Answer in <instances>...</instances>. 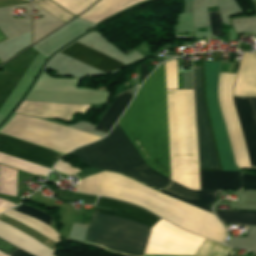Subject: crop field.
<instances>
[{
	"instance_id": "crop-field-2",
	"label": "crop field",
	"mask_w": 256,
	"mask_h": 256,
	"mask_svg": "<svg viewBox=\"0 0 256 256\" xmlns=\"http://www.w3.org/2000/svg\"><path fill=\"white\" fill-rule=\"evenodd\" d=\"M148 90L152 169L170 178L164 64L148 78ZM148 90L146 80L118 123L151 167Z\"/></svg>"
},
{
	"instance_id": "crop-field-26",
	"label": "crop field",
	"mask_w": 256,
	"mask_h": 256,
	"mask_svg": "<svg viewBox=\"0 0 256 256\" xmlns=\"http://www.w3.org/2000/svg\"><path fill=\"white\" fill-rule=\"evenodd\" d=\"M15 210L22 213V214H26L28 216L34 217V218L44 222L47 225H48L49 221L51 220V217H49V216H47V215H45V214H43V213H41V212H39L35 209L29 208L25 205H22V206L18 207Z\"/></svg>"
},
{
	"instance_id": "crop-field-27",
	"label": "crop field",
	"mask_w": 256,
	"mask_h": 256,
	"mask_svg": "<svg viewBox=\"0 0 256 256\" xmlns=\"http://www.w3.org/2000/svg\"><path fill=\"white\" fill-rule=\"evenodd\" d=\"M209 17H210L212 35L222 34L221 19H220L219 11L210 12Z\"/></svg>"
},
{
	"instance_id": "crop-field-20",
	"label": "crop field",
	"mask_w": 256,
	"mask_h": 256,
	"mask_svg": "<svg viewBox=\"0 0 256 256\" xmlns=\"http://www.w3.org/2000/svg\"><path fill=\"white\" fill-rule=\"evenodd\" d=\"M3 214L28 225L29 227L35 229L36 231L40 232L41 234L45 235L46 237L50 238L55 242L59 240L57 238L59 235L54 230H52L49 226L45 225L44 223L36 219L30 218L28 216L22 215L12 210L5 212Z\"/></svg>"
},
{
	"instance_id": "crop-field-29",
	"label": "crop field",
	"mask_w": 256,
	"mask_h": 256,
	"mask_svg": "<svg viewBox=\"0 0 256 256\" xmlns=\"http://www.w3.org/2000/svg\"><path fill=\"white\" fill-rule=\"evenodd\" d=\"M53 170L57 171L59 174L65 176V177H68V176L78 172L75 169H73L70 164L63 162V161H59L55 165Z\"/></svg>"
},
{
	"instance_id": "crop-field-30",
	"label": "crop field",
	"mask_w": 256,
	"mask_h": 256,
	"mask_svg": "<svg viewBox=\"0 0 256 256\" xmlns=\"http://www.w3.org/2000/svg\"><path fill=\"white\" fill-rule=\"evenodd\" d=\"M58 195L67 196V197H75V198L92 199V200L97 199V196L85 195V194H68V193L59 192Z\"/></svg>"
},
{
	"instance_id": "crop-field-9",
	"label": "crop field",
	"mask_w": 256,
	"mask_h": 256,
	"mask_svg": "<svg viewBox=\"0 0 256 256\" xmlns=\"http://www.w3.org/2000/svg\"><path fill=\"white\" fill-rule=\"evenodd\" d=\"M204 240L160 220L151 230L145 253L194 255Z\"/></svg>"
},
{
	"instance_id": "crop-field-3",
	"label": "crop field",
	"mask_w": 256,
	"mask_h": 256,
	"mask_svg": "<svg viewBox=\"0 0 256 256\" xmlns=\"http://www.w3.org/2000/svg\"><path fill=\"white\" fill-rule=\"evenodd\" d=\"M0 132L56 150L64 155L101 138L18 114ZM6 135L0 134V152L49 168L61 158L50 150Z\"/></svg>"
},
{
	"instance_id": "crop-field-21",
	"label": "crop field",
	"mask_w": 256,
	"mask_h": 256,
	"mask_svg": "<svg viewBox=\"0 0 256 256\" xmlns=\"http://www.w3.org/2000/svg\"><path fill=\"white\" fill-rule=\"evenodd\" d=\"M0 163L34 174V175H42V176H46L47 172H48V168L33 164V163H29L11 156H7L4 154L0 153Z\"/></svg>"
},
{
	"instance_id": "crop-field-25",
	"label": "crop field",
	"mask_w": 256,
	"mask_h": 256,
	"mask_svg": "<svg viewBox=\"0 0 256 256\" xmlns=\"http://www.w3.org/2000/svg\"><path fill=\"white\" fill-rule=\"evenodd\" d=\"M166 89L178 88L176 59L165 62Z\"/></svg>"
},
{
	"instance_id": "crop-field-31",
	"label": "crop field",
	"mask_w": 256,
	"mask_h": 256,
	"mask_svg": "<svg viewBox=\"0 0 256 256\" xmlns=\"http://www.w3.org/2000/svg\"><path fill=\"white\" fill-rule=\"evenodd\" d=\"M142 81L148 76L147 65L143 63L140 65Z\"/></svg>"
},
{
	"instance_id": "crop-field-32",
	"label": "crop field",
	"mask_w": 256,
	"mask_h": 256,
	"mask_svg": "<svg viewBox=\"0 0 256 256\" xmlns=\"http://www.w3.org/2000/svg\"><path fill=\"white\" fill-rule=\"evenodd\" d=\"M9 256H32V255L17 248L11 254H9Z\"/></svg>"
},
{
	"instance_id": "crop-field-10",
	"label": "crop field",
	"mask_w": 256,
	"mask_h": 256,
	"mask_svg": "<svg viewBox=\"0 0 256 256\" xmlns=\"http://www.w3.org/2000/svg\"><path fill=\"white\" fill-rule=\"evenodd\" d=\"M194 66H202L203 90H204L203 65H194ZM194 78H195V105H196V115H197V134H198L200 168H218L219 166V169H200V170H221L218 155H217V150L215 146V141L213 137V132L211 128V123L209 119V114L207 110V105L205 101V90H204V101L206 105V110H207V115L209 119L210 129H211L216 157L218 161V166L216 162L215 152L213 148L212 138L210 134L209 124H208L206 110H205L204 101H203L201 67H194Z\"/></svg>"
},
{
	"instance_id": "crop-field-16",
	"label": "crop field",
	"mask_w": 256,
	"mask_h": 256,
	"mask_svg": "<svg viewBox=\"0 0 256 256\" xmlns=\"http://www.w3.org/2000/svg\"><path fill=\"white\" fill-rule=\"evenodd\" d=\"M234 95L256 96V54H243Z\"/></svg>"
},
{
	"instance_id": "crop-field-18",
	"label": "crop field",
	"mask_w": 256,
	"mask_h": 256,
	"mask_svg": "<svg viewBox=\"0 0 256 256\" xmlns=\"http://www.w3.org/2000/svg\"><path fill=\"white\" fill-rule=\"evenodd\" d=\"M144 0H100L79 18L97 23L137 2Z\"/></svg>"
},
{
	"instance_id": "crop-field-35",
	"label": "crop field",
	"mask_w": 256,
	"mask_h": 256,
	"mask_svg": "<svg viewBox=\"0 0 256 256\" xmlns=\"http://www.w3.org/2000/svg\"><path fill=\"white\" fill-rule=\"evenodd\" d=\"M235 250H236V249H233V251L230 253L229 256H234V255H232V254L234 253ZM235 252H236V251H235ZM253 256H256V254L254 253Z\"/></svg>"
},
{
	"instance_id": "crop-field-12",
	"label": "crop field",
	"mask_w": 256,
	"mask_h": 256,
	"mask_svg": "<svg viewBox=\"0 0 256 256\" xmlns=\"http://www.w3.org/2000/svg\"><path fill=\"white\" fill-rule=\"evenodd\" d=\"M96 206L108 208V209L120 210V211L116 212V211L95 207L93 211L94 213L130 219L149 227H151L154 223H156L160 219L159 217L135 205L114 201V200H110L102 197H99Z\"/></svg>"
},
{
	"instance_id": "crop-field-34",
	"label": "crop field",
	"mask_w": 256,
	"mask_h": 256,
	"mask_svg": "<svg viewBox=\"0 0 256 256\" xmlns=\"http://www.w3.org/2000/svg\"><path fill=\"white\" fill-rule=\"evenodd\" d=\"M3 40H6V38H5V36L0 32V42L3 41ZM0 64H2V63L0 62Z\"/></svg>"
},
{
	"instance_id": "crop-field-1",
	"label": "crop field",
	"mask_w": 256,
	"mask_h": 256,
	"mask_svg": "<svg viewBox=\"0 0 256 256\" xmlns=\"http://www.w3.org/2000/svg\"><path fill=\"white\" fill-rule=\"evenodd\" d=\"M79 192L128 201L149 209L175 225L220 243L226 230L214 215L158 193L122 175L105 172L85 177Z\"/></svg>"
},
{
	"instance_id": "crop-field-5",
	"label": "crop field",
	"mask_w": 256,
	"mask_h": 256,
	"mask_svg": "<svg viewBox=\"0 0 256 256\" xmlns=\"http://www.w3.org/2000/svg\"><path fill=\"white\" fill-rule=\"evenodd\" d=\"M72 154L85 165L123 174L158 191L171 181L144 163L118 124L105 139L79 148Z\"/></svg>"
},
{
	"instance_id": "crop-field-28",
	"label": "crop field",
	"mask_w": 256,
	"mask_h": 256,
	"mask_svg": "<svg viewBox=\"0 0 256 256\" xmlns=\"http://www.w3.org/2000/svg\"><path fill=\"white\" fill-rule=\"evenodd\" d=\"M241 190H256V176L240 174Z\"/></svg>"
},
{
	"instance_id": "crop-field-36",
	"label": "crop field",
	"mask_w": 256,
	"mask_h": 256,
	"mask_svg": "<svg viewBox=\"0 0 256 256\" xmlns=\"http://www.w3.org/2000/svg\"><path fill=\"white\" fill-rule=\"evenodd\" d=\"M0 256H6V255H4V254L0 253Z\"/></svg>"
},
{
	"instance_id": "crop-field-17",
	"label": "crop field",
	"mask_w": 256,
	"mask_h": 256,
	"mask_svg": "<svg viewBox=\"0 0 256 256\" xmlns=\"http://www.w3.org/2000/svg\"><path fill=\"white\" fill-rule=\"evenodd\" d=\"M201 190H240L239 172L200 171Z\"/></svg>"
},
{
	"instance_id": "crop-field-7",
	"label": "crop field",
	"mask_w": 256,
	"mask_h": 256,
	"mask_svg": "<svg viewBox=\"0 0 256 256\" xmlns=\"http://www.w3.org/2000/svg\"><path fill=\"white\" fill-rule=\"evenodd\" d=\"M149 230L130 220L93 214L87 242L127 255L143 256Z\"/></svg>"
},
{
	"instance_id": "crop-field-22",
	"label": "crop field",
	"mask_w": 256,
	"mask_h": 256,
	"mask_svg": "<svg viewBox=\"0 0 256 256\" xmlns=\"http://www.w3.org/2000/svg\"><path fill=\"white\" fill-rule=\"evenodd\" d=\"M220 221L226 224H246L256 226V213L237 211H214Z\"/></svg>"
},
{
	"instance_id": "crop-field-13",
	"label": "crop field",
	"mask_w": 256,
	"mask_h": 256,
	"mask_svg": "<svg viewBox=\"0 0 256 256\" xmlns=\"http://www.w3.org/2000/svg\"><path fill=\"white\" fill-rule=\"evenodd\" d=\"M61 53L88 66H91L101 72H110L125 66L78 43H74L70 47L63 50Z\"/></svg>"
},
{
	"instance_id": "crop-field-4",
	"label": "crop field",
	"mask_w": 256,
	"mask_h": 256,
	"mask_svg": "<svg viewBox=\"0 0 256 256\" xmlns=\"http://www.w3.org/2000/svg\"><path fill=\"white\" fill-rule=\"evenodd\" d=\"M171 180L199 190L193 90H166Z\"/></svg>"
},
{
	"instance_id": "crop-field-14",
	"label": "crop field",
	"mask_w": 256,
	"mask_h": 256,
	"mask_svg": "<svg viewBox=\"0 0 256 256\" xmlns=\"http://www.w3.org/2000/svg\"><path fill=\"white\" fill-rule=\"evenodd\" d=\"M161 193L212 213L209 206L216 198V191H192L170 182ZM213 214V213H212Z\"/></svg>"
},
{
	"instance_id": "crop-field-23",
	"label": "crop field",
	"mask_w": 256,
	"mask_h": 256,
	"mask_svg": "<svg viewBox=\"0 0 256 256\" xmlns=\"http://www.w3.org/2000/svg\"><path fill=\"white\" fill-rule=\"evenodd\" d=\"M231 248L217 244L208 239L202 244L195 256H226Z\"/></svg>"
},
{
	"instance_id": "crop-field-24",
	"label": "crop field",
	"mask_w": 256,
	"mask_h": 256,
	"mask_svg": "<svg viewBox=\"0 0 256 256\" xmlns=\"http://www.w3.org/2000/svg\"><path fill=\"white\" fill-rule=\"evenodd\" d=\"M64 8L68 9L74 14H79L80 12L86 10L97 0H53Z\"/></svg>"
},
{
	"instance_id": "crop-field-19",
	"label": "crop field",
	"mask_w": 256,
	"mask_h": 256,
	"mask_svg": "<svg viewBox=\"0 0 256 256\" xmlns=\"http://www.w3.org/2000/svg\"><path fill=\"white\" fill-rule=\"evenodd\" d=\"M132 95L131 91H127L121 95H119L118 98L113 102V104L110 106V108L105 113L104 117L100 121V123L97 125L95 130L103 132L107 134V132L110 130L112 125L115 123L119 115L122 113L124 108L127 106L129 101L131 100Z\"/></svg>"
},
{
	"instance_id": "crop-field-11",
	"label": "crop field",
	"mask_w": 256,
	"mask_h": 256,
	"mask_svg": "<svg viewBox=\"0 0 256 256\" xmlns=\"http://www.w3.org/2000/svg\"><path fill=\"white\" fill-rule=\"evenodd\" d=\"M89 105L54 104L47 102L23 101L15 111L39 118H53L70 121L75 112L86 113Z\"/></svg>"
},
{
	"instance_id": "crop-field-15",
	"label": "crop field",
	"mask_w": 256,
	"mask_h": 256,
	"mask_svg": "<svg viewBox=\"0 0 256 256\" xmlns=\"http://www.w3.org/2000/svg\"><path fill=\"white\" fill-rule=\"evenodd\" d=\"M0 238L34 256H53L54 253V251L42 245L30 236L14 229L13 227L1 221Z\"/></svg>"
},
{
	"instance_id": "crop-field-6",
	"label": "crop field",
	"mask_w": 256,
	"mask_h": 256,
	"mask_svg": "<svg viewBox=\"0 0 256 256\" xmlns=\"http://www.w3.org/2000/svg\"><path fill=\"white\" fill-rule=\"evenodd\" d=\"M235 75L236 74L220 73L218 99L233 156L238 168H256V118L247 97H233L251 159V167L245 140L232 98V85Z\"/></svg>"
},
{
	"instance_id": "crop-field-8",
	"label": "crop field",
	"mask_w": 256,
	"mask_h": 256,
	"mask_svg": "<svg viewBox=\"0 0 256 256\" xmlns=\"http://www.w3.org/2000/svg\"><path fill=\"white\" fill-rule=\"evenodd\" d=\"M220 62H204L206 101L222 170L239 171L232 152L217 101V76Z\"/></svg>"
},
{
	"instance_id": "crop-field-33",
	"label": "crop field",
	"mask_w": 256,
	"mask_h": 256,
	"mask_svg": "<svg viewBox=\"0 0 256 256\" xmlns=\"http://www.w3.org/2000/svg\"><path fill=\"white\" fill-rule=\"evenodd\" d=\"M249 99H250V101L252 103V106H253L255 112H256V98H249Z\"/></svg>"
}]
</instances>
